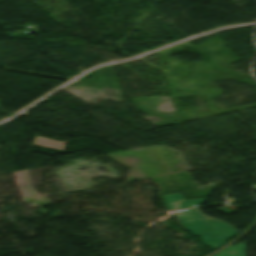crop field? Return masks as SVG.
Masks as SVG:
<instances>
[{
  "mask_svg": "<svg viewBox=\"0 0 256 256\" xmlns=\"http://www.w3.org/2000/svg\"><path fill=\"white\" fill-rule=\"evenodd\" d=\"M179 223L189 232L198 235L205 245L216 250L226 244V238L237 234L231 226L208 217L199 208H193L173 213Z\"/></svg>",
  "mask_w": 256,
  "mask_h": 256,
  "instance_id": "8a807250",
  "label": "crop field"
},
{
  "mask_svg": "<svg viewBox=\"0 0 256 256\" xmlns=\"http://www.w3.org/2000/svg\"><path fill=\"white\" fill-rule=\"evenodd\" d=\"M170 210L196 206L203 203L206 198L184 200L180 193L163 195Z\"/></svg>",
  "mask_w": 256,
  "mask_h": 256,
  "instance_id": "ac0d7876",
  "label": "crop field"
},
{
  "mask_svg": "<svg viewBox=\"0 0 256 256\" xmlns=\"http://www.w3.org/2000/svg\"><path fill=\"white\" fill-rule=\"evenodd\" d=\"M214 256H246L245 255V242L232 245Z\"/></svg>",
  "mask_w": 256,
  "mask_h": 256,
  "instance_id": "34b2d1b8",
  "label": "crop field"
}]
</instances>
